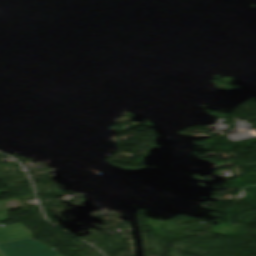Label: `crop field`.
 <instances>
[{
    "label": "crop field",
    "mask_w": 256,
    "mask_h": 256,
    "mask_svg": "<svg viewBox=\"0 0 256 256\" xmlns=\"http://www.w3.org/2000/svg\"><path fill=\"white\" fill-rule=\"evenodd\" d=\"M8 256H58L59 253L32 238L0 244Z\"/></svg>",
    "instance_id": "crop-field-1"
},
{
    "label": "crop field",
    "mask_w": 256,
    "mask_h": 256,
    "mask_svg": "<svg viewBox=\"0 0 256 256\" xmlns=\"http://www.w3.org/2000/svg\"><path fill=\"white\" fill-rule=\"evenodd\" d=\"M6 192V190L0 191V193Z\"/></svg>",
    "instance_id": "crop-field-2"
}]
</instances>
